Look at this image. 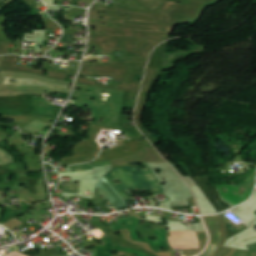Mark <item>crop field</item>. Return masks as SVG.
Listing matches in <instances>:
<instances>
[{"instance_id":"8a807250","label":"crop field","mask_w":256,"mask_h":256,"mask_svg":"<svg viewBox=\"0 0 256 256\" xmlns=\"http://www.w3.org/2000/svg\"><path fill=\"white\" fill-rule=\"evenodd\" d=\"M146 167L147 169L142 170V172L148 179L153 189L163 192V188L157 181L154 174L149 169L148 165H146ZM140 169L142 168L136 166L113 168L104 177L115 188V190L122 196V198L125 201H129L130 199L122 190L133 187L152 189V187L150 186V184L148 183ZM113 181H120V183L114 184Z\"/></svg>"},{"instance_id":"ac0d7876","label":"crop field","mask_w":256,"mask_h":256,"mask_svg":"<svg viewBox=\"0 0 256 256\" xmlns=\"http://www.w3.org/2000/svg\"><path fill=\"white\" fill-rule=\"evenodd\" d=\"M92 62H84L80 75L89 76H105L114 78V80L124 81L131 67L107 65L102 63H97L96 66H92ZM93 71L92 74H88V71Z\"/></svg>"},{"instance_id":"34b2d1b8","label":"crop field","mask_w":256,"mask_h":256,"mask_svg":"<svg viewBox=\"0 0 256 256\" xmlns=\"http://www.w3.org/2000/svg\"><path fill=\"white\" fill-rule=\"evenodd\" d=\"M117 221L119 225L112 226L110 227L111 229H113L114 231H117L120 229L128 228L132 239L136 241H141L135 230V227L136 225L139 224L140 220L130 217V218L119 219ZM123 223H126L127 227H123L122 226ZM156 232H157L158 240L151 241L149 238H145L149 243V245L151 246V248L158 252L163 247H170L168 244L167 236H166L167 231L164 228H160V229H157Z\"/></svg>"},{"instance_id":"412701ff","label":"crop field","mask_w":256,"mask_h":256,"mask_svg":"<svg viewBox=\"0 0 256 256\" xmlns=\"http://www.w3.org/2000/svg\"><path fill=\"white\" fill-rule=\"evenodd\" d=\"M17 58H18V56H16V55H14V56H4L0 69L12 70V71H21V72H29V73H35V74L43 75L44 69L34 70L33 66L16 65ZM47 72H48V74L46 76L47 77H52V78H58V79L66 80L67 76H68L67 73L55 72V71H50V70H47ZM71 75H73V74H71Z\"/></svg>"},{"instance_id":"f4fd0767","label":"crop field","mask_w":256,"mask_h":256,"mask_svg":"<svg viewBox=\"0 0 256 256\" xmlns=\"http://www.w3.org/2000/svg\"><path fill=\"white\" fill-rule=\"evenodd\" d=\"M97 187L112 204L116 211L128 208L126 202L120 197V195L114 190V188L106 181L104 177L100 182H98Z\"/></svg>"},{"instance_id":"dd49c442","label":"crop field","mask_w":256,"mask_h":256,"mask_svg":"<svg viewBox=\"0 0 256 256\" xmlns=\"http://www.w3.org/2000/svg\"><path fill=\"white\" fill-rule=\"evenodd\" d=\"M106 246H96L97 256H112V241L105 238Z\"/></svg>"},{"instance_id":"e52e79f7","label":"crop field","mask_w":256,"mask_h":256,"mask_svg":"<svg viewBox=\"0 0 256 256\" xmlns=\"http://www.w3.org/2000/svg\"><path fill=\"white\" fill-rule=\"evenodd\" d=\"M14 161L15 158L11 154L6 151H0V165H5Z\"/></svg>"},{"instance_id":"d8731c3e","label":"crop field","mask_w":256,"mask_h":256,"mask_svg":"<svg viewBox=\"0 0 256 256\" xmlns=\"http://www.w3.org/2000/svg\"><path fill=\"white\" fill-rule=\"evenodd\" d=\"M46 125L47 124H45V123H43L41 121L36 120V121L32 122L31 124L27 125L26 127H24V129H26V130H28V131L33 133L36 130H38V129L46 126Z\"/></svg>"},{"instance_id":"5a996713","label":"crop field","mask_w":256,"mask_h":256,"mask_svg":"<svg viewBox=\"0 0 256 256\" xmlns=\"http://www.w3.org/2000/svg\"><path fill=\"white\" fill-rule=\"evenodd\" d=\"M79 184L76 183H64L63 192L77 193Z\"/></svg>"},{"instance_id":"3316defc","label":"crop field","mask_w":256,"mask_h":256,"mask_svg":"<svg viewBox=\"0 0 256 256\" xmlns=\"http://www.w3.org/2000/svg\"><path fill=\"white\" fill-rule=\"evenodd\" d=\"M114 249L126 251V252H129V253H131V254H134V253H135V254H138V256H147V255L143 254L142 252L135 251V250L130 249V248L118 246V245H115V244H114Z\"/></svg>"},{"instance_id":"28ad6ade","label":"crop field","mask_w":256,"mask_h":256,"mask_svg":"<svg viewBox=\"0 0 256 256\" xmlns=\"http://www.w3.org/2000/svg\"><path fill=\"white\" fill-rule=\"evenodd\" d=\"M75 35H63L60 42L66 43L68 45H73Z\"/></svg>"},{"instance_id":"d1516ede","label":"crop field","mask_w":256,"mask_h":256,"mask_svg":"<svg viewBox=\"0 0 256 256\" xmlns=\"http://www.w3.org/2000/svg\"><path fill=\"white\" fill-rule=\"evenodd\" d=\"M77 82L83 83V84H88V85H95V86L104 87L102 85H97L96 81H94V80H90V79H86V78H81V77L78 78Z\"/></svg>"},{"instance_id":"22f410ed","label":"crop field","mask_w":256,"mask_h":256,"mask_svg":"<svg viewBox=\"0 0 256 256\" xmlns=\"http://www.w3.org/2000/svg\"><path fill=\"white\" fill-rule=\"evenodd\" d=\"M5 21H7L6 17H0V38H2V39H7V37H6L5 33H4V28L1 25Z\"/></svg>"},{"instance_id":"cbeb9de0","label":"crop field","mask_w":256,"mask_h":256,"mask_svg":"<svg viewBox=\"0 0 256 256\" xmlns=\"http://www.w3.org/2000/svg\"><path fill=\"white\" fill-rule=\"evenodd\" d=\"M252 252L248 250H237L233 253L232 256H250Z\"/></svg>"},{"instance_id":"5142ce71","label":"crop field","mask_w":256,"mask_h":256,"mask_svg":"<svg viewBox=\"0 0 256 256\" xmlns=\"http://www.w3.org/2000/svg\"><path fill=\"white\" fill-rule=\"evenodd\" d=\"M248 249H250L251 251L255 252L256 253V244H253V245H249L247 246Z\"/></svg>"},{"instance_id":"d9b57169","label":"crop field","mask_w":256,"mask_h":256,"mask_svg":"<svg viewBox=\"0 0 256 256\" xmlns=\"http://www.w3.org/2000/svg\"><path fill=\"white\" fill-rule=\"evenodd\" d=\"M1 139V138H0Z\"/></svg>"}]
</instances>
